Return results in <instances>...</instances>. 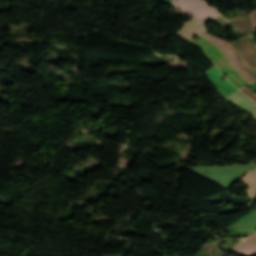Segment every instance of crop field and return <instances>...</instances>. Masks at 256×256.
<instances>
[{"label": "crop field", "mask_w": 256, "mask_h": 256, "mask_svg": "<svg viewBox=\"0 0 256 256\" xmlns=\"http://www.w3.org/2000/svg\"><path fill=\"white\" fill-rule=\"evenodd\" d=\"M229 23L231 24L232 27L237 28V29L253 36V23L249 17L245 18V19L229 20Z\"/></svg>", "instance_id": "9"}, {"label": "crop field", "mask_w": 256, "mask_h": 256, "mask_svg": "<svg viewBox=\"0 0 256 256\" xmlns=\"http://www.w3.org/2000/svg\"><path fill=\"white\" fill-rule=\"evenodd\" d=\"M242 90L245 94H247L249 97H251L253 100L256 101V95H254L252 92H250L248 89H246L245 87L240 89Z\"/></svg>", "instance_id": "11"}, {"label": "crop field", "mask_w": 256, "mask_h": 256, "mask_svg": "<svg viewBox=\"0 0 256 256\" xmlns=\"http://www.w3.org/2000/svg\"><path fill=\"white\" fill-rule=\"evenodd\" d=\"M252 21L254 22V31H255V34H256V11H253L250 15Z\"/></svg>", "instance_id": "12"}, {"label": "crop field", "mask_w": 256, "mask_h": 256, "mask_svg": "<svg viewBox=\"0 0 256 256\" xmlns=\"http://www.w3.org/2000/svg\"><path fill=\"white\" fill-rule=\"evenodd\" d=\"M233 252L243 256H256V234L243 243L238 244Z\"/></svg>", "instance_id": "8"}, {"label": "crop field", "mask_w": 256, "mask_h": 256, "mask_svg": "<svg viewBox=\"0 0 256 256\" xmlns=\"http://www.w3.org/2000/svg\"><path fill=\"white\" fill-rule=\"evenodd\" d=\"M205 24L206 22L200 21L198 19L193 18L191 21H189L186 26L177 33V35L189 39L194 34L201 35L205 31Z\"/></svg>", "instance_id": "5"}, {"label": "crop field", "mask_w": 256, "mask_h": 256, "mask_svg": "<svg viewBox=\"0 0 256 256\" xmlns=\"http://www.w3.org/2000/svg\"><path fill=\"white\" fill-rule=\"evenodd\" d=\"M202 37L207 39L209 42L214 44L219 51L226 57V59L231 63V65L250 83L254 81L250 75L240 66L237 62L232 45L225 42L220 38H216L210 35L204 34ZM200 37L195 45H198L202 48L205 53L213 60L219 70L224 73H228L229 75L226 78L233 83L239 89L244 85L248 84V82L230 65V63L225 59V57L218 51V49L209 43L204 38ZM197 46V47H198Z\"/></svg>", "instance_id": "1"}, {"label": "crop field", "mask_w": 256, "mask_h": 256, "mask_svg": "<svg viewBox=\"0 0 256 256\" xmlns=\"http://www.w3.org/2000/svg\"><path fill=\"white\" fill-rule=\"evenodd\" d=\"M245 185L250 188L246 192L247 195L253 197L256 195V169L252 172H249L240 179Z\"/></svg>", "instance_id": "10"}, {"label": "crop field", "mask_w": 256, "mask_h": 256, "mask_svg": "<svg viewBox=\"0 0 256 256\" xmlns=\"http://www.w3.org/2000/svg\"><path fill=\"white\" fill-rule=\"evenodd\" d=\"M205 73L210 78V80L220 88L216 91L223 97V99L228 97V95L230 93L238 90L229 81L225 80V81L221 82L219 80L221 75L216 67L211 68V70H209Z\"/></svg>", "instance_id": "4"}, {"label": "crop field", "mask_w": 256, "mask_h": 256, "mask_svg": "<svg viewBox=\"0 0 256 256\" xmlns=\"http://www.w3.org/2000/svg\"><path fill=\"white\" fill-rule=\"evenodd\" d=\"M243 235L256 231V210L235 224Z\"/></svg>", "instance_id": "7"}, {"label": "crop field", "mask_w": 256, "mask_h": 256, "mask_svg": "<svg viewBox=\"0 0 256 256\" xmlns=\"http://www.w3.org/2000/svg\"><path fill=\"white\" fill-rule=\"evenodd\" d=\"M228 98L235 102L238 107L251 111L252 115L256 119V104H254L249 98L244 96L239 91ZM228 98L226 99V101H228L229 103L232 102Z\"/></svg>", "instance_id": "6"}, {"label": "crop field", "mask_w": 256, "mask_h": 256, "mask_svg": "<svg viewBox=\"0 0 256 256\" xmlns=\"http://www.w3.org/2000/svg\"><path fill=\"white\" fill-rule=\"evenodd\" d=\"M238 62L256 80V44L253 38L245 37L232 40ZM250 76V77H251Z\"/></svg>", "instance_id": "3"}, {"label": "crop field", "mask_w": 256, "mask_h": 256, "mask_svg": "<svg viewBox=\"0 0 256 256\" xmlns=\"http://www.w3.org/2000/svg\"><path fill=\"white\" fill-rule=\"evenodd\" d=\"M203 2V1H202ZM199 0H173L174 7L190 16L209 22L210 20L218 17L219 15L208 9L207 5ZM224 18V17H223ZM221 16L212 20L222 28H228L229 25Z\"/></svg>", "instance_id": "2"}]
</instances>
